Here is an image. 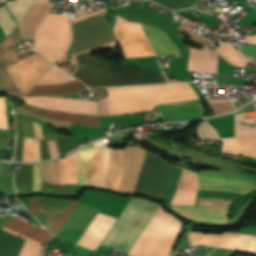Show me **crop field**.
<instances>
[{
    "label": "crop field",
    "instance_id": "crop-field-35",
    "mask_svg": "<svg viewBox=\"0 0 256 256\" xmlns=\"http://www.w3.org/2000/svg\"><path fill=\"white\" fill-rule=\"evenodd\" d=\"M201 117H204L203 111L189 113V114H183V115H177V116H171V117H165L162 119H163V121H183V120H190V119H196V118H201Z\"/></svg>",
    "mask_w": 256,
    "mask_h": 256
},
{
    "label": "crop field",
    "instance_id": "crop-field-47",
    "mask_svg": "<svg viewBox=\"0 0 256 256\" xmlns=\"http://www.w3.org/2000/svg\"><path fill=\"white\" fill-rule=\"evenodd\" d=\"M32 124H33L34 132H35V138L43 139L40 124L34 123V122H32Z\"/></svg>",
    "mask_w": 256,
    "mask_h": 256
},
{
    "label": "crop field",
    "instance_id": "crop-field-50",
    "mask_svg": "<svg viewBox=\"0 0 256 256\" xmlns=\"http://www.w3.org/2000/svg\"><path fill=\"white\" fill-rule=\"evenodd\" d=\"M244 42L256 44V36L250 37V38L246 39Z\"/></svg>",
    "mask_w": 256,
    "mask_h": 256
},
{
    "label": "crop field",
    "instance_id": "crop-field-33",
    "mask_svg": "<svg viewBox=\"0 0 256 256\" xmlns=\"http://www.w3.org/2000/svg\"><path fill=\"white\" fill-rule=\"evenodd\" d=\"M78 201H72V203L65 209L63 214L60 216L58 221L55 223V225L50 230L52 232V235L56 234L57 231L60 229L62 224L65 222V220L68 218V216L71 214V212L74 210L75 206L77 205Z\"/></svg>",
    "mask_w": 256,
    "mask_h": 256
},
{
    "label": "crop field",
    "instance_id": "crop-field-21",
    "mask_svg": "<svg viewBox=\"0 0 256 256\" xmlns=\"http://www.w3.org/2000/svg\"><path fill=\"white\" fill-rule=\"evenodd\" d=\"M60 185L75 183L76 152L58 160Z\"/></svg>",
    "mask_w": 256,
    "mask_h": 256
},
{
    "label": "crop field",
    "instance_id": "crop-field-25",
    "mask_svg": "<svg viewBox=\"0 0 256 256\" xmlns=\"http://www.w3.org/2000/svg\"><path fill=\"white\" fill-rule=\"evenodd\" d=\"M16 192H33L32 165H22V170L15 169Z\"/></svg>",
    "mask_w": 256,
    "mask_h": 256
},
{
    "label": "crop field",
    "instance_id": "crop-field-37",
    "mask_svg": "<svg viewBox=\"0 0 256 256\" xmlns=\"http://www.w3.org/2000/svg\"><path fill=\"white\" fill-rule=\"evenodd\" d=\"M70 203L71 201L54 200V199L45 198V197H41V201H40V204H43V205L62 207V208H66Z\"/></svg>",
    "mask_w": 256,
    "mask_h": 256
},
{
    "label": "crop field",
    "instance_id": "crop-field-28",
    "mask_svg": "<svg viewBox=\"0 0 256 256\" xmlns=\"http://www.w3.org/2000/svg\"><path fill=\"white\" fill-rule=\"evenodd\" d=\"M41 165L43 181L59 185L57 160L54 162H48Z\"/></svg>",
    "mask_w": 256,
    "mask_h": 256
},
{
    "label": "crop field",
    "instance_id": "crop-field-19",
    "mask_svg": "<svg viewBox=\"0 0 256 256\" xmlns=\"http://www.w3.org/2000/svg\"><path fill=\"white\" fill-rule=\"evenodd\" d=\"M93 147L88 146L77 151L76 183L89 185Z\"/></svg>",
    "mask_w": 256,
    "mask_h": 256
},
{
    "label": "crop field",
    "instance_id": "crop-field-18",
    "mask_svg": "<svg viewBox=\"0 0 256 256\" xmlns=\"http://www.w3.org/2000/svg\"><path fill=\"white\" fill-rule=\"evenodd\" d=\"M4 226L18 233H21L25 236H28L30 238L43 242L45 244L50 238V233L48 231L41 229L39 227L30 225L18 217L5 223Z\"/></svg>",
    "mask_w": 256,
    "mask_h": 256
},
{
    "label": "crop field",
    "instance_id": "crop-field-54",
    "mask_svg": "<svg viewBox=\"0 0 256 256\" xmlns=\"http://www.w3.org/2000/svg\"><path fill=\"white\" fill-rule=\"evenodd\" d=\"M253 61V60H252ZM255 61V60H254ZM256 62V61H255Z\"/></svg>",
    "mask_w": 256,
    "mask_h": 256
},
{
    "label": "crop field",
    "instance_id": "crop-field-10",
    "mask_svg": "<svg viewBox=\"0 0 256 256\" xmlns=\"http://www.w3.org/2000/svg\"><path fill=\"white\" fill-rule=\"evenodd\" d=\"M191 244H207L213 246L232 247L253 252L256 248V237L240 234L196 235L189 234Z\"/></svg>",
    "mask_w": 256,
    "mask_h": 256
},
{
    "label": "crop field",
    "instance_id": "crop-field-34",
    "mask_svg": "<svg viewBox=\"0 0 256 256\" xmlns=\"http://www.w3.org/2000/svg\"><path fill=\"white\" fill-rule=\"evenodd\" d=\"M56 142L60 155L65 154L76 148L74 144V137L69 136L67 138L58 139L56 140Z\"/></svg>",
    "mask_w": 256,
    "mask_h": 256
},
{
    "label": "crop field",
    "instance_id": "crop-field-45",
    "mask_svg": "<svg viewBox=\"0 0 256 256\" xmlns=\"http://www.w3.org/2000/svg\"><path fill=\"white\" fill-rule=\"evenodd\" d=\"M48 144H49V148H50L51 158L59 156V153L56 149L55 140L48 141Z\"/></svg>",
    "mask_w": 256,
    "mask_h": 256
},
{
    "label": "crop field",
    "instance_id": "crop-field-29",
    "mask_svg": "<svg viewBox=\"0 0 256 256\" xmlns=\"http://www.w3.org/2000/svg\"><path fill=\"white\" fill-rule=\"evenodd\" d=\"M70 190L71 186L58 187L42 182L41 193L55 196L70 197Z\"/></svg>",
    "mask_w": 256,
    "mask_h": 256
},
{
    "label": "crop field",
    "instance_id": "crop-field-3",
    "mask_svg": "<svg viewBox=\"0 0 256 256\" xmlns=\"http://www.w3.org/2000/svg\"><path fill=\"white\" fill-rule=\"evenodd\" d=\"M199 173L256 181V178L254 177L231 173V172H222V171L213 172V171L204 170ZM200 174H198L199 180H202V181H209V182H216V183H223V184H230V185H237V186H244V187H251V188L256 187V182L228 179V178H221V177H214V176H207V175H200ZM202 181H199V189H203V190L222 191V192H231V193H240V194H244L252 190L251 188H244V187H237V186H230V185H223V184H216V183H209V182H202ZM196 193H197V175L191 171L183 169L181 176L179 178L175 193L173 195L171 204L172 205H195ZM200 205H227L228 206V199H200Z\"/></svg>",
    "mask_w": 256,
    "mask_h": 256
},
{
    "label": "crop field",
    "instance_id": "crop-field-2",
    "mask_svg": "<svg viewBox=\"0 0 256 256\" xmlns=\"http://www.w3.org/2000/svg\"><path fill=\"white\" fill-rule=\"evenodd\" d=\"M158 206L144 199L131 198L101 245L118 247L127 254ZM181 229L182 224L159 206L127 256H168Z\"/></svg>",
    "mask_w": 256,
    "mask_h": 256
},
{
    "label": "crop field",
    "instance_id": "crop-field-52",
    "mask_svg": "<svg viewBox=\"0 0 256 256\" xmlns=\"http://www.w3.org/2000/svg\"><path fill=\"white\" fill-rule=\"evenodd\" d=\"M39 1H45V2H48V0H39Z\"/></svg>",
    "mask_w": 256,
    "mask_h": 256
},
{
    "label": "crop field",
    "instance_id": "crop-field-44",
    "mask_svg": "<svg viewBox=\"0 0 256 256\" xmlns=\"http://www.w3.org/2000/svg\"><path fill=\"white\" fill-rule=\"evenodd\" d=\"M33 160L35 161H41L40 160V154H39V140L34 139L33 143Z\"/></svg>",
    "mask_w": 256,
    "mask_h": 256
},
{
    "label": "crop field",
    "instance_id": "crop-field-14",
    "mask_svg": "<svg viewBox=\"0 0 256 256\" xmlns=\"http://www.w3.org/2000/svg\"><path fill=\"white\" fill-rule=\"evenodd\" d=\"M53 5L35 2L18 25L24 38L34 39L35 30L50 12Z\"/></svg>",
    "mask_w": 256,
    "mask_h": 256
},
{
    "label": "crop field",
    "instance_id": "crop-field-41",
    "mask_svg": "<svg viewBox=\"0 0 256 256\" xmlns=\"http://www.w3.org/2000/svg\"><path fill=\"white\" fill-rule=\"evenodd\" d=\"M23 137L17 138L14 160L22 161Z\"/></svg>",
    "mask_w": 256,
    "mask_h": 256
},
{
    "label": "crop field",
    "instance_id": "crop-field-42",
    "mask_svg": "<svg viewBox=\"0 0 256 256\" xmlns=\"http://www.w3.org/2000/svg\"><path fill=\"white\" fill-rule=\"evenodd\" d=\"M38 208H39V198H31L29 212L33 214L35 217H37Z\"/></svg>",
    "mask_w": 256,
    "mask_h": 256
},
{
    "label": "crop field",
    "instance_id": "crop-field-26",
    "mask_svg": "<svg viewBox=\"0 0 256 256\" xmlns=\"http://www.w3.org/2000/svg\"><path fill=\"white\" fill-rule=\"evenodd\" d=\"M3 229L8 231V232H11V233H13L17 236H20V237L26 239L19 256H40L41 251H42L43 246H44L43 244H41L37 241H34V240H32L28 237H25L21 234H18L14 231H11L9 229H6V228H3Z\"/></svg>",
    "mask_w": 256,
    "mask_h": 256
},
{
    "label": "crop field",
    "instance_id": "crop-field-32",
    "mask_svg": "<svg viewBox=\"0 0 256 256\" xmlns=\"http://www.w3.org/2000/svg\"><path fill=\"white\" fill-rule=\"evenodd\" d=\"M197 133L200 138L218 139L216 131L208 124L207 120L201 122V124L197 128Z\"/></svg>",
    "mask_w": 256,
    "mask_h": 256
},
{
    "label": "crop field",
    "instance_id": "crop-field-9",
    "mask_svg": "<svg viewBox=\"0 0 256 256\" xmlns=\"http://www.w3.org/2000/svg\"><path fill=\"white\" fill-rule=\"evenodd\" d=\"M56 68L51 67L37 84H53L74 80V78ZM84 88L86 87L77 80L63 84L35 85L27 96L68 94Z\"/></svg>",
    "mask_w": 256,
    "mask_h": 256
},
{
    "label": "crop field",
    "instance_id": "crop-field-40",
    "mask_svg": "<svg viewBox=\"0 0 256 256\" xmlns=\"http://www.w3.org/2000/svg\"><path fill=\"white\" fill-rule=\"evenodd\" d=\"M13 109H14V112H15L16 120H17L18 136L19 135H24V127H23L22 115H21V113L15 107H13Z\"/></svg>",
    "mask_w": 256,
    "mask_h": 256
},
{
    "label": "crop field",
    "instance_id": "crop-field-5",
    "mask_svg": "<svg viewBox=\"0 0 256 256\" xmlns=\"http://www.w3.org/2000/svg\"><path fill=\"white\" fill-rule=\"evenodd\" d=\"M25 100L28 104L44 109L98 115L97 102L95 101L52 97L25 98ZM28 104H25L22 107L41 116H47L56 120L77 122L85 125L99 126L98 116L43 110Z\"/></svg>",
    "mask_w": 256,
    "mask_h": 256
},
{
    "label": "crop field",
    "instance_id": "crop-field-13",
    "mask_svg": "<svg viewBox=\"0 0 256 256\" xmlns=\"http://www.w3.org/2000/svg\"><path fill=\"white\" fill-rule=\"evenodd\" d=\"M162 161L163 159L156 155L150 153L146 154L135 193L151 195L156 175Z\"/></svg>",
    "mask_w": 256,
    "mask_h": 256
},
{
    "label": "crop field",
    "instance_id": "crop-field-12",
    "mask_svg": "<svg viewBox=\"0 0 256 256\" xmlns=\"http://www.w3.org/2000/svg\"><path fill=\"white\" fill-rule=\"evenodd\" d=\"M123 152L125 171L119 190L133 193L146 152L137 147H126Z\"/></svg>",
    "mask_w": 256,
    "mask_h": 256
},
{
    "label": "crop field",
    "instance_id": "crop-field-43",
    "mask_svg": "<svg viewBox=\"0 0 256 256\" xmlns=\"http://www.w3.org/2000/svg\"><path fill=\"white\" fill-rule=\"evenodd\" d=\"M41 160L49 159L47 141H40Z\"/></svg>",
    "mask_w": 256,
    "mask_h": 256
},
{
    "label": "crop field",
    "instance_id": "crop-field-11",
    "mask_svg": "<svg viewBox=\"0 0 256 256\" xmlns=\"http://www.w3.org/2000/svg\"><path fill=\"white\" fill-rule=\"evenodd\" d=\"M167 205V204H166ZM168 210L172 211L183 219H193L198 221L212 222V223H227V211L226 207H214V206H169ZM179 214L188 217L185 218ZM192 221V220H190Z\"/></svg>",
    "mask_w": 256,
    "mask_h": 256
},
{
    "label": "crop field",
    "instance_id": "crop-field-48",
    "mask_svg": "<svg viewBox=\"0 0 256 256\" xmlns=\"http://www.w3.org/2000/svg\"><path fill=\"white\" fill-rule=\"evenodd\" d=\"M207 102L209 104H225V103H230L229 102V99H214V98H211V99H206Z\"/></svg>",
    "mask_w": 256,
    "mask_h": 256
},
{
    "label": "crop field",
    "instance_id": "crop-field-16",
    "mask_svg": "<svg viewBox=\"0 0 256 256\" xmlns=\"http://www.w3.org/2000/svg\"><path fill=\"white\" fill-rule=\"evenodd\" d=\"M141 24L157 55L168 53H175L176 57L181 55L176 44L164 31L145 23Z\"/></svg>",
    "mask_w": 256,
    "mask_h": 256
},
{
    "label": "crop field",
    "instance_id": "crop-field-6",
    "mask_svg": "<svg viewBox=\"0 0 256 256\" xmlns=\"http://www.w3.org/2000/svg\"><path fill=\"white\" fill-rule=\"evenodd\" d=\"M70 40L68 17L49 13L36 30L34 48L54 63L61 59Z\"/></svg>",
    "mask_w": 256,
    "mask_h": 256
},
{
    "label": "crop field",
    "instance_id": "crop-field-20",
    "mask_svg": "<svg viewBox=\"0 0 256 256\" xmlns=\"http://www.w3.org/2000/svg\"><path fill=\"white\" fill-rule=\"evenodd\" d=\"M161 117L203 110L199 100L156 106Z\"/></svg>",
    "mask_w": 256,
    "mask_h": 256
},
{
    "label": "crop field",
    "instance_id": "crop-field-30",
    "mask_svg": "<svg viewBox=\"0 0 256 256\" xmlns=\"http://www.w3.org/2000/svg\"><path fill=\"white\" fill-rule=\"evenodd\" d=\"M39 211L51 215L45 224V227L50 230L64 209L40 205Z\"/></svg>",
    "mask_w": 256,
    "mask_h": 256
},
{
    "label": "crop field",
    "instance_id": "crop-field-36",
    "mask_svg": "<svg viewBox=\"0 0 256 256\" xmlns=\"http://www.w3.org/2000/svg\"><path fill=\"white\" fill-rule=\"evenodd\" d=\"M32 142H33V139L24 137L23 161L25 162H33L32 161Z\"/></svg>",
    "mask_w": 256,
    "mask_h": 256
},
{
    "label": "crop field",
    "instance_id": "crop-field-27",
    "mask_svg": "<svg viewBox=\"0 0 256 256\" xmlns=\"http://www.w3.org/2000/svg\"><path fill=\"white\" fill-rule=\"evenodd\" d=\"M33 4L34 2H8L6 6L19 24Z\"/></svg>",
    "mask_w": 256,
    "mask_h": 256
},
{
    "label": "crop field",
    "instance_id": "crop-field-24",
    "mask_svg": "<svg viewBox=\"0 0 256 256\" xmlns=\"http://www.w3.org/2000/svg\"><path fill=\"white\" fill-rule=\"evenodd\" d=\"M215 50L225 60L236 66L244 68L250 61L246 59L239 51H237L229 41L224 42Z\"/></svg>",
    "mask_w": 256,
    "mask_h": 256
},
{
    "label": "crop field",
    "instance_id": "crop-field-39",
    "mask_svg": "<svg viewBox=\"0 0 256 256\" xmlns=\"http://www.w3.org/2000/svg\"><path fill=\"white\" fill-rule=\"evenodd\" d=\"M105 11H106L105 7L102 8V9H99V10H97V11H95V12H91V13H87L86 10L83 9V10L77 11V13H78L80 16L75 17V18H72V19H71V22L73 23V22L79 21V20H81V19H84V18L93 16V15H96V14H99V13H102V12H105Z\"/></svg>",
    "mask_w": 256,
    "mask_h": 256
},
{
    "label": "crop field",
    "instance_id": "crop-field-23",
    "mask_svg": "<svg viewBox=\"0 0 256 256\" xmlns=\"http://www.w3.org/2000/svg\"><path fill=\"white\" fill-rule=\"evenodd\" d=\"M195 99H198V97L194 92L193 88L188 83H180V84H177L170 91V93L163 100L159 102V104L195 100Z\"/></svg>",
    "mask_w": 256,
    "mask_h": 256
},
{
    "label": "crop field",
    "instance_id": "crop-field-53",
    "mask_svg": "<svg viewBox=\"0 0 256 256\" xmlns=\"http://www.w3.org/2000/svg\"><path fill=\"white\" fill-rule=\"evenodd\" d=\"M254 253L256 254V251Z\"/></svg>",
    "mask_w": 256,
    "mask_h": 256
},
{
    "label": "crop field",
    "instance_id": "crop-field-7",
    "mask_svg": "<svg viewBox=\"0 0 256 256\" xmlns=\"http://www.w3.org/2000/svg\"><path fill=\"white\" fill-rule=\"evenodd\" d=\"M221 152L241 154L256 158V118L248 119L247 113L235 115V137L221 138Z\"/></svg>",
    "mask_w": 256,
    "mask_h": 256
},
{
    "label": "crop field",
    "instance_id": "crop-field-1",
    "mask_svg": "<svg viewBox=\"0 0 256 256\" xmlns=\"http://www.w3.org/2000/svg\"><path fill=\"white\" fill-rule=\"evenodd\" d=\"M73 40L66 54H73L116 42L114 32L106 19V12L72 24ZM90 51L75 54L74 76L92 87L138 85L167 82L163 74L114 66L89 56Z\"/></svg>",
    "mask_w": 256,
    "mask_h": 256
},
{
    "label": "crop field",
    "instance_id": "crop-field-38",
    "mask_svg": "<svg viewBox=\"0 0 256 256\" xmlns=\"http://www.w3.org/2000/svg\"><path fill=\"white\" fill-rule=\"evenodd\" d=\"M34 194H40L41 175L40 165H33Z\"/></svg>",
    "mask_w": 256,
    "mask_h": 256
},
{
    "label": "crop field",
    "instance_id": "crop-field-49",
    "mask_svg": "<svg viewBox=\"0 0 256 256\" xmlns=\"http://www.w3.org/2000/svg\"><path fill=\"white\" fill-rule=\"evenodd\" d=\"M240 49H241V51L252 53V54L256 55V47L242 45L240 47Z\"/></svg>",
    "mask_w": 256,
    "mask_h": 256
},
{
    "label": "crop field",
    "instance_id": "crop-field-31",
    "mask_svg": "<svg viewBox=\"0 0 256 256\" xmlns=\"http://www.w3.org/2000/svg\"><path fill=\"white\" fill-rule=\"evenodd\" d=\"M0 26L8 36L13 29L17 26L4 7H0Z\"/></svg>",
    "mask_w": 256,
    "mask_h": 256
},
{
    "label": "crop field",
    "instance_id": "crop-field-46",
    "mask_svg": "<svg viewBox=\"0 0 256 256\" xmlns=\"http://www.w3.org/2000/svg\"><path fill=\"white\" fill-rule=\"evenodd\" d=\"M8 131L0 129V147H6Z\"/></svg>",
    "mask_w": 256,
    "mask_h": 256
},
{
    "label": "crop field",
    "instance_id": "crop-field-4",
    "mask_svg": "<svg viewBox=\"0 0 256 256\" xmlns=\"http://www.w3.org/2000/svg\"><path fill=\"white\" fill-rule=\"evenodd\" d=\"M176 84L106 88L99 102L100 116L150 111Z\"/></svg>",
    "mask_w": 256,
    "mask_h": 256
},
{
    "label": "crop field",
    "instance_id": "crop-field-15",
    "mask_svg": "<svg viewBox=\"0 0 256 256\" xmlns=\"http://www.w3.org/2000/svg\"><path fill=\"white\" fill-rule=\"evenodd\" d=\"M110 150V148L94 147L90 185L104 187Z\"/></svg>",
    "mask_w": 256,
    "mask_h": 256
},
{
    "label": "crop field",
    "instance_id": "crop-field-8",
    "mask_svg": "<svg viewBox=\"0 0 256 256\" xmlns=\"http://www.w3.org/2000/svg\"><path fill=\"white\" fill-rule=\"evenodd\" d=\"M114 31L118 40L146 38L141 24L116 16ZM126 58L156 55L147 39L118 41Z\"/></svg>",
    "mask_w": 256,
    "mask_h": 256
},
{
    "label": "crop field",
    "instance_id": "crop-field-22",
    "mask_svg": "<svg viewBox=\"0 0 256 256\" xmlns=\"http://www.w3.org/2000/svg\"><path fill=\"white\" fill-rule=\"evenodd\" d=\"M218 54L204 46L203 51L198 50L195 71L216 73Z\"/></svg>",
    "mask_w": 256,
    "mask_h": 256
},
{
    "label": "crop field",
    "instance_id": "crop-field-51",
    "mask_svg": "<svg viewBox=\"0 0 256 256\" xmlns=\"http://www.w3.org/2000/svg\"><path fill=\"white\" fill-rule=\"evenodd\" d=\"M177 148H178V146L174 144V146L171 148V150L176 151Z\"/></svg>",
    "mask_w": 256,
    "mask_h": 256
},
{
    "label": "crop field",
    "instance_id": "crop-field-17",
    "mask_svg": "<svg viewBox=\"0 0 256 256\" xmlns=\"http://www.w3.org/2000/svg\"><path fill=\"white\" fill-rule=\"evenodd\" d=\"M124 171L122 150H111L108 176L105 188L118 190Z\"/></svg>",
    "mask_w": 256,
    "mask_h": 256
}]
</instances>
